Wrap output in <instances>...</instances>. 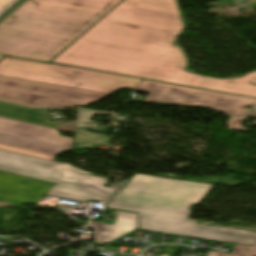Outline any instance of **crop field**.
I'll list each match as a JSON object with an SVG mask.
<instances>
[{
    "instance_id": "17",
    "label": "crop field",
    "mask_w": 256,
    "mask_h": 256,
    "mask_svg": "<svg viewBox=\"0 0 256 256\" xmlns=\"http://www.w3.org/2000/svg\"><path fill=\"white\" fill-rule=\"evenodd\" d=\"M246 256H256V248L255 247H251V249L248 251Z\"/></svg>"
},
{
    "instance_id": "20",
    "label": "crop field",
    "mask_w": 256,
    "mask_h": 256,
    "mask_svg": "<svg viewBox=\"0 0 256 256\" xmlns=\"http://www.w3.org/2000/svg\"><path fill=\"white\" fill-rule=\"evenodd\" d=\"M236 85H237L236 83H228V84L224 85L223 87L235 88Z\"/></svg>"
},
{
    "instance_id": "2",
    "label": "crop field",
    "mask_w": 256,
    "mask_h": 256,
    "mask_svg": "<svg viewBox=\"0 0 256 256\" xmlns=\"http://www.w3.org/2000/svg\"><path fill=\"white\" fill-rule=\"evenodd\" d=\"M214 186L135 174L105 207L138 212L139 229L256 247V233L202 226L189 219L192 205L200 204Z\"/></svg>"
},
{
    "instance_id": "1",
    "label": "crop field",
    "mask_w": 256,
    "mask_h": 256,
    "mask_svg": "<svg viewBox=\"0 0 256 256\" xmlns=\"http://www.w3.org/2000/svg\"><path fill=\"white\" fill-rule=\"evenodd\" d=\"M138 2L139 8L115 7L51 62L256 97V85L245 82L256 71L223 80L185 72L183 54L173 45L182 30L175 0ZM227 82L238 86L223 88Z\"/></svg>"
},
{
    "instance_id": "13",
    "label": "crop field",
    "mask_w": 256,
    "mask_h": 256,
    "mask_svg": "<svg viewBox=\"0 0 256 256\" xmlns=\"http://www.w3.org/2000/svg\"><path fill=\"white\" fill-rule=\"evenodd\" d=\"M0 149L12 151V152H16V153H21V154H26V155H31V156H36V157H40V158L50 159V160H54V158L56 157L54 155L30 151V150L12 147V146H8V145H4V144H0Z\"/></svg>"
},
{
    "instance_id": "14",
    "label": "crop field",
    "mask_w": 256,
    "mask_h": 256,
    "mask_svg": "<svg viewBox=\"0 0 256 256\" xmlns=\"http://www.w3.org/2000/svg\"><path fill=\"white\" fill-rule=\"evenodd\" d=\"M249 247L236 245L231 254L208 251L206 256H244Z\"/></svg>"
},
{
    "instance_id": "15",
    "label": "crop field",
    "mask_w": 256,
    "mask_h": 256,
    "mask_svg": "<svg viewBox=\"0 0 256 256\" xmlns=\"http://www.w3.org/2000/svg\"><path fill=\"white\" fill-rule=\"evenodd\" d=\"M227 124L231 130L248 132V130L245 127H243V119H235V118L230 117Z\"/></svg>"
},
{
    "instance_id": "10",
    "label": "crop field",
    "mask_w": 256,
    "mask_h": 256,
    "mask_svg": "<svg viewBox=\"0 0 256 256\" xmlns=\"http://www.w3.org/2000/svg\"><path fill=\"white\" fill-rule=\"evenodd\" d=\"M89 227L94 228L95 242L106 244L137 228L136 213L116 210L114 224L91 222Z\"/></svg>"
},
{
    "instance_id": "21",
    "label": "crop field",
    "mask_w": 256,
    "mask_h": 256,
    "mask_svg": "<svg viewBox=\"0 0 256 256\" xmlns=\"http://www.w3.org/2000/svg\"><path fill=\"white\" fill-rule=\"evenodd\" d=\"M249 116H256V107L253 109V111L247 117H249Z\"/></svg>"
},
{
    "instance_id": "7",
    "label": "crop field",
    "mask_w": 256,
    "mask_h": 256,
    "mask_svg": "<svg viewBox=\"0 0 256 256\" xmlns=\"http://www.w3.org/2000/svg\"><path fill=\"white\" fill-rule=\"evenodd\" d=\"M106 94L0 77V100L27 106L85 107Z\"/></svg>"
},
{
    "instance_id": "19",
    "label": "crop field",
    "mask_w": 256,
    "mask_h": 256,
    "mask_svg": "<svg viewBox=\"0 0 256 256\" xmlns=\"http://www.w3.org/2000/svg\"><path fill=\"white\" fill-rule=\"evenodd\" d=\"M207 225H214V226L226 227V226L215 225V224H210V223H207ZM227 228H233V229L246 230V229H241V228H238V227H232V226H228ZM247 231H253V232H256L255 230H247Z\"/></svg>"
},
{
    "instance_id": "22",
    "label": "crop field",
    "mask_w": 256,
    "mask_h": 256,
    "mask_svg": "<svg viewBox=\"0 0 256 256\" xmlns=\"http://www.w3.org/2000/svg\"><path fill=\"white\" fill-rule=\"evenodd\" d=\"M5 206H15V205L0 203V207H5Z\"/></svg>"
},
{
    "instance_id": "16",
    "label": "crop field",
    "mask_w": 256,
    "mask_h": 256,
    "mask_svg": "<svg viewBox=\"0 0 256 256\" xmlns=\"http://www.w3.org/2000/svg\"><path fill=\"white\" fill-rule=\"evenodd\" d=\"M120 4H126V5H131V6L138 7V2L137 1H133V0H124Z\"/></svg>"
},
{
    "instance_id": "3",
    "label": "crop field",
    "mask_w": 256,
    "mask_h": 256,
    "mask_svg": "<svg viewBox=\"0 0 256 256\" xmlns=\"http://www.w3.org/2000/svg\"><path fill=\"white\" fill-rule=\"evenodd\" d=\"M120 0H28L0 23V54L47 62Z\"/></svg>"
},
{
    "instance_id": "5",
    "label": "crop field",
    "mask_w": 256,
    "mask_h": 256,
    "mask_svg": "<svg viewBox=\"0 0 256 256\" xmlns=\"http://www.w3.org/2000/svg\"><path fill=\"white\" fill-rule=\"evenodd\" d=\"M0 76L51 83L107 94L121 87L134 89L142 81L10 57H5L0 61Z\"/></svg>"
},
{
    "instance_id": "4",
    "label": "crop field",
    "mask_w": 256,
    "mask_h": 256,
    "mask_svg": "<svg viewBox=\"0 0 256 256\" xmlns=\"http://www.w3.org/2000/svg\"><path fill=\"white\" fill-rule=\"evenodd\" d=\"M0 170L57 183L47 195L85 202H105L115 191L104 188L109 178L71 165L0 150Z\"/></svg>"
},
{
    "instance_id": "24",
    "label": "crop field",
    "mask_w": 256,
    "mask_h": 256,
    "mask_svg": "<svg viewBox=\"0 0 256 256\" xmlns=\"http://www.w3.org/2000/svg\"><path fill=\"white\" fill-rule=\"evenodd\" d=\"M2 57V55H0V58Z\"/></svg>"
},
{
    "instance_id": "18",
    "label": "crop field",
    "mask_w": 256,
    "mask_h": 256,
    "mask_svg": "<svg viewBox=\"0 0 256 256\" xmlns=\"http://www.w3.org/2000/svg\"><path fill=\"white\" fill-rule=\"evenodd\" d=\"M12 0H0V10L5 7L8 3H10Z\"/></svg>"
},
{
    "instance_id": "11",
    "label": "crop field",
    "mask_w": 256,
    "mask_h": 256,
    "mask_svg": "<svg viewBox=\"0 0 256 256\" xmlns=\"http://www.w3.org/2000/svg\"><path fill=\"white\" fill-rule=\"evenodd\" d=\"M0 116L57 129L51 124L45 109H28L0 102Z\"/></svg>"
},
{
    "instance_id": "9",
    "label": "crop field",
    "mask_w": 256,
    "mask_h": 256,
    "mask_svg": "<svg viewBox=\"0 0 256 256\" xmlns=\"http://www.w3.org/2000/svg\"><path fill=\"white\" fill-rule=\"evenodd\" d=\"M0 133L71 149L73 139L60 136L58 130L0 117Z\"/></svg>"
},
{
    "instance_id": "12",
    "label": "crop field",
    "mask_w": 256,
    "mask_h": 256,
    "mask_svg": "<svg viewBox=\"0 0 256 256\" xmlns=\"http://www.w3.org/2000/svg\"><path fill=\"white\" fill-rule=\"evenodd\" d=\"M0 143L17 146L21 148H26V149H31L35 151L45 152L49 154H55V155H58L62 151L68 150L64 148L37 143V142L9 137L1 134H0Z\"/></svg>"
},
{
    "instance_id": "23",
    "label": "crop field",
    "mask_w": 256,
    "mask_h": 256,
    "mask_svg": "<svg viewBox=\"0 0 256 256\" xmlns=\"http://www.w3.org/2000/svg\"><path fill=\"white\" fill-rule=\"evenodd\" d=\"M249 83H256V79L251 80Z\"/></svg>"
},
{
    "instance_id": "6",
    "label": "crop field",
    "mask_w": 256,
    "mask_h": 256,
    "mask_svg": "<svg viewBox=\"0 0 256 256\" xmlns=\"http://www.w3.org/2000/svg\"><path fill=\"white\" fill-rule=\"evenodd\" d=\"M136 90L150 93L143 101L209 107L236 117H244L255 106L256 99L187 88L171 84L143 80Z\"/></svg>"
},
{
    "instance_id": "8",
    "label": "crop field",
    "mask_w": 256,
    "mask_h": 256,
    "mask_svg": "<svg viewBox=\"0 0 256 256\" xmlns=\"http://www.w3.org/2000/svg\"><path fill=\"white\" fill-rule=\"evenodd\" d=\"M53 183L0 172V202L37 204Z\"/></svg>"
}]
</instances>
